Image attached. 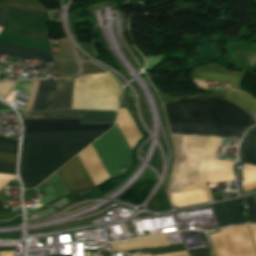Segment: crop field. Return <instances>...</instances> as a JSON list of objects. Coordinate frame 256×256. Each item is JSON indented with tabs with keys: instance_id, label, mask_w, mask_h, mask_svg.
<instances>
[{
	"instance_id": "crop-field-1",
	"label": "crop field",
	"mask_w": 256,
	"mask_h": 256,
	"mask_svg": "<svg viewBox=\"0 0 256 256\" xmlns=\"http://www.w3.org/2000/svg\"><path fill=\"white\" fill-rule=\"evenodd\" d=\"M229 101L199 95L164 103L172 136L220 137ZM254 116L230 103L222 136L242 138ZM172 137L176 162L170 186L175 207L211 202L206 159H215L220 138Z\"/></svg>"
},
{
	"instance_id": "crop-field-19",
	"label": "crop field",
	"mask_w": 256,
	"mask_h": 256,
	"mask_svg": "<svg viewBox=\"0 0 256 256\" xmlns=\"http://www.w3.org/2000/svg\"><path fill=\"white\" fill-rule=\"evenodd\" d=\"M17 156L0 153V161L16 164ZM0 162V173L15 175L16 165Z\"/></svg>"
},
{
	"instance_id": "crop-field-9",
	"label": "crop field",
	"mask_w": 256,
	"mask_h": 256,
	"mask_svg": "<svg viewBox=\"0 0 256 256\" xmlns=\"http://www.w3.org/2000/svg\"><path fill=\"white\" fill-rule=\"evenodd\" d=\"M211 206L214 207L219 227L226 226L228 224L237 225L246 223L242 217L237 199L219 204H212Z\"/></svg>"
},
{
	"instance_id": "crop-field-20",
	"label": "crop field",
	"mask_w": 256,
	"mask_h": 256,
	"mask_svg": "<svg viewBox=\"0 0 256 256\" xmlns=\"http://www.w3.org/2000/svg\"><path fill=\"white\" fill-rule=\"evenodd\" d=\"M79 118V113L27 114L24 119Z\"/></svg>"
},
{
	"instance_id": "crop-field-11",
	"label": "crop field",
	"mask_w": 256,
	"mask_h": 256,
	"mask_svg": "<svg viewBox=\"0 0 256 256\" xmlns=\"http://www.w3.org/2000/svg\"><path fill=\"white\" fill-rule=\"evenodd\" d=\"M0 54L30 60L32 56L53 62V55L49 51L0 43Z\"/></svg>"
},
{
	"instance_id": "crop-field-18",
	"label": "crop field",
	"mask_w": 256,
	"mask_h": 256,
	"mask_svg": "<svg viewBox=\"0 0 256 256\" xmlns=\"http://www.w3.org/2000/svg\"><path fill=\"white\" fill-rule=\"evenodd\" d=\"M47 183L52 190L55 198L63 195H68L66 188L64 187L61 179L59 178L57 172L48 178Z\"/></svg>"
},
{
	"instance_id": "crop-field-21",
	"label": "crop field",
	"mask_w": 256,
	"mask_h": 256,
	"mask_svg": "<svg viewBox=\"0 0 256 256\" xmlns=\"http://www.w3.org/2000/svg\"><path fill=\"white\" fill-rule=\"evenodd\" d=\"M188 254L189 256H215L213 246L189 250Z\"/></svg>"
},
{
	"instance_id": "crop-field-31",
	"label": "crop field",
	"mask_w": 256,
	"mask_h": 256,
	"mask_svg": "<svg viewBox=\"0 0 256 256\" xmlns=\"http://www.w3.org/2000/svg\"><path fill=\"white\" fill-rule=\"evenodd\" d=\"M0 212H2V209L0 208Z\"/></svg>"
},
{
	"instance_id": "crop-field-26",
	"label": "crop field",
	"mask_w": 256,
	"mask_h": 256,
	"mask_svg": "<svg viewBox=\"0 0 256 256\" xmlns=\"http://www.w3.org/2000/svg\"><path fill=\"white\" fill-rule=\"evenodd\" d=\"M0 141L17 145V140L11 139V138H6V137H1L0 136Z\"/></svg>"
},
{
	"instance_id": "crop-field-17",
	"label": "crop field",
	"mask_w": 256,
	"mask_h": 256,
	"mask_svg": "<svg viewBox=\"0 0 256 256\" xmlns=\"http://www.w3.org/2000/svg\"><path fill=\"white\" fill-rule=\"evenodd\" d=\"M117 113L80 114L81 123H114Z\"/></svg>"
},
{
	"instance_id": "crop-field-2",
	"label": "crop field",
	"mask_w": 256,
	"mask_h": 256,
	"mask_svg": "<svg viewBox=\"0 0 256 256\" xmlns=\"http://www.w3.org/2000/svg\"><path fill=\"white\" fill-rule=\"evenodd\" d=\"M88 145H28L26 171L20 172L25 188L36 187Z\"/></svg>"
},
{
	"instance_id": "crop-field-29",
	"label": "crop field",
	"mask_w": 256,
	"mask_h": 256,
	"mask_svg": "<svg viewBox=\"0 0 256 256\" xmlns=\"http://www.w3.org/2000/svg\"><path fill=\"white\" fill-rule=\"evenodd\" d=\"M254 199H255V204H256V193L255 194H252Z\"/></svg>"
},
{
	"instance_id": "crop-field-30",
	"label": "crop field",
	"mask_w": 256,
	"mask_h": 256,
	"mask_svg": "<svg viewBox=\"0 0 256 256\" xmlns=\"http://www.w3.org/2000/svg\"><path fill=\"white\" fill-rule=\"evenodd\" d=\"M64 256H71V255H64Z\"/></svg>"
},
{
	"instance_id": "crop-field-14",
	"label": "crop field",
	"mask_w": 256,
	"mask_h": 256,
	"mask_svg": "<svg viewBox=\"0 0 256 256\" xmlns=\"http://www.w3.org/2000/svg\"><path fill=\"white\" fill-rule=\"evenodd\" d=\"M239 157L244 163L256 165V126L247 132L239 149Z\"/></svg>"
},
{
	"instance_id": "crop-field-6",
	"label": "crop field",
	"mask_w": 256,
	"mask_h": 256,
	"mask_svg": "<svg viewBox=\"0 0 256 256\" xmlns=\"http://www.w3.org/2000/svg\"><path fill=\"white\" fill-rule=\"evenodd\" d=\"M57 172L69 194L96 188L78 156Z\"/></svg>"
},
{
	"instance_id": "crop-field-3",
	"label": "crop field",
	"mask_w": 256,
	"mask_h": 256,
	"mask_svg": "<svg viewBox=\"0 0 256 256\" xmlns=\"http://www.w3.org/2000/svg\"><path fill=\"white\" fill-rule=\"evenodd\" d=\"M120 87L109 74L74 79L72 108L117 110Z\"/></svg>"
},
{
	"instance_id": "crop-field-23",
	"label": "crop field",
	"mask_w": 256,
	"mask_h": 256,
	"mask_svg": "<svg viewBox=\"0 0 256 256\" xmlns=\"http://www.w3.org/2000/svg\"><path fill=\"white\" fill-rule=\"evenodd\" d=\"M0 151L7 152L10 154H17V146L0 142Z\"/></svg>"
},
{
	"instance_id": "crop-field-7",
	"label": "crop field",
	"mask_w": 256,
	"mask_h": 256,
	"mask_svg": "<svg viewBox=\"0 0 256 256\" xmlns=\"http://www.w3.org/2000/svg\"><path fill=\"white\" fill-rule=\"evenodd\" d=\"M104 132L25 133V144L91 143Z\"/></svg>"
},
{
	"instance_id": "crop-field-15",
	"label": "crop field",
	"mask_w": 256,
	"mask_h": 256,
	"mask_svg": "<svg viewBox=\"0 0 256 256\" xmlns=\"http://www.w3.org/2000/svg\"><path fill=\"white\" fill-rule=\"evenodd\" d=\"M55 83V80L40 81L37 96L31 111H40L48 104L55 87Z\"/></svg>"
},
{
	"instance_id": "crop-field-16",
	"label": "crop field",
	"mask_w": 256,
	"mask_h": 256,
	"mask_svg": "<svg viewBox=\"0 0 256 256\" xmlns=\"http://www.w3.org/2000/svg\"><path fill=\"white\" fill-rule=\"evenodd\" d=\"M225 98L242 106L250 113L254 115L256 114V99H254L253 97L241 92H236L231 89H227Z\"/></svg>"
},
{
	"instance_id": "crop-field-13",
	"label": "crop field",
	"mask_w": 256,
	"mask_h": 256,
	"mask_svg": "<svg viewBox=\"0 0 256 256\" xmlns=\"http://www.w3.org/2000/svg\"><path fill=\"white\" fill-rule=\"evenodd\" d=\"M72 86H73V79L64 81V98H63L62 109L71 108ZM62 97H63V82L58 81V88L53 98V102L46 109V111L61 110Z\"/></svg>"
},
{
	"instance_id": "crop-field-25",
	"label": "crop field",
	"mask_w": 256,
	"mask_h": 256,
	"mask_svg": "<svg viewBox=\"0 0 256 256\" xmlns=\"http://www.w3.org/2000/svg\"><path fill=\"white\" fill-rule=\"evenodd\" d=\"M9 10H10V8H1L0 9V28H3V26L5 24ZM0 31H1V29H0Z\"/></svg>"
},
{
	"instance_id": "crop-field-22",
	"label": "crop field",
	"mask_w": 256,
	"mask_h": 256,
	"mask_svg": "<svg viewBox=\"0 0 256 256\" xmlns=\"http://www.w3.org/2000/svg\"><path fill=\"white\" fill-rule=\"evenodd\" d=\"M246 198H247L248 209L251 214L252 223H256V207L254 204V199H253L252 195L248 196Z\"/></svg>"
},
{
	"instance_id": "crop-field-10",
	"label": "crop field",
	"mask_w": 256,
	"mask_h": 256,
	"mask_svg": "<svg viewBox=\"0 0 256 256\" xmlns=\"http://www.w3.org/2000/svg\"><path fill=\"white\" fill-rule=\"evenodd\" d=\"M95 185L110 178L103 168L92 145L78 155Z\"/></svg>"
},
{
	"instance_id": "crop-field-12",
	"label": "crop field",
	"mask_w": 256,
	"mask_h": 256,
	"mask_svg": "<svg viewBox=\"0 0 256 256\" xmlns=\"http://www.w3.org/2000/svg\"><path fill=\"white\" fill-rule=\"evenodd\" d=\"M113 249L118 250H133L138 248L155 247V246H166L167 241L164 235L146 237L131 241L116 242L110 244Z\"/></svg>"
},
{
	"instance_id": "crop-field-5",
	"label": "crop field",
	"mask_w": 256,
	"mask_h": 256,
	"mask_svg": "<svg viewBox=\"0 0 256 256\" xmlns=\"http://www.w3.org/2000/svg\"><path fill=\"white\" fill-rule=\"evenodd\" d=\"M25 132L107 131L113 124H80V119L23 120Z\"/></svg>"
},
{
	"instance_id": "crop-field-27",
	"label": "crop field",
	"mask_w": 256,
	"mask_h": 256,
	"mask_svg": "<svg viewBox=\"0 0 256 256\" xmlns=\"http://www.w3.org/2000/svg\"><path fill=\"white\" fill-rule=\"evenodd\" d=\"M160 256H188V254L186 251H183V252L165 254V255H160Z\"/></svg>"
},
{
	"instance_id": "crop-field-8",
	"label": "crop field",
	"mask_w": 256,
	"mask_h": 256,
	"mask_svg": "<svg viewBox=\"0 0 256 256\" xmlns=\"http://www.w3.org/2000/svg\"><path fill=\"white\" fill-rule=\"evenodd\" d=\"M245 74L233 71L230 72L227 69L217 65L208 64L205 66H197L192 68L189 78L219 81L222 83H230V87L239 90Z\"/></svg>"
},
{
	"instance_id": "crop-field-24",
	"label": "crop field",
	"mask_w": 256,
	"mask_h": 256,
	"mask_svg": "<svg viewBox=\"0 0 256 256\" xmlns=\"http://www.w3.org/2000/svg\"><path fill=\"white\" fill-rule=\"evenodd\" d=\"M17 178L16 176L0 174V189L4 188L10 181Z\"/></svg>"
},
{
	"instance_id": "crop-field-28",
	"label": "crop field",
	"mask_w": 256,
	"mask_h": 256,
	"mask_svg": "<svg viewBox=\"0 0 256 256\" xmlns=\"http://www.w3.org/2000/svg\"><path fill=\"white\" fill-rule=\"evenodd\" d=\"M16 247H3V248H0V251H9V250H15Z\"/></svg>"
},
{
	"instance_id": "crop-field-4",
	"label": "crop field",
	"mask_w": 256,
	"mask_h": 256,
	"mask_svg": "<svg viewBox=\"0 0 256 256\" xmlns=\"http://www.w3.org/2000/svg\"><path fill=\"white\" fill-rule=\"evenodd\" d=\"M92 145L110 177L124 173L132 164L131 152L117 126Z\"/></svg>"
}]
</instances>
